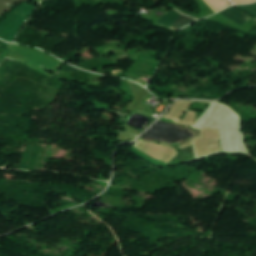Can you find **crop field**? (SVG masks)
<instances>
[{"label": "crop field", "instance_id": "1", "mask_svg": "<svg viewBox=\"0 0 256 256\" xmlns=\"http://www.w3.org/2000/svg\"><path fill=\"white\" fill-rule=\"evenodd\" d=\"M35 11V7L23 5L16 8L0 26V38L13 42L24 21Z\"/></svg>", "mask_w": 256, "mask_h": 256}, {"label": "crop field", "instance_id": "2", "mask_svg": "<svg viewBox=\"0 0 256 256\" xmlns=\"http://www.w3.org/2000/svg\"><path fill=\"white\" fill-rule=\"evenodd\" d=\"M222 15H224L225 17H227L228 19L234 21L235 23L239 24V25H243L244 23H246L248 20L251 19V17L243 14L242 12L230 7L228 9H225L221 12Z\"/></svg>", "mask_w": 256, "mask_h": 256}, {"label": "crop field", "instance_id": "3", "mask_svg": "<svg viewBox=\"0 0 256 256\" xmlns=\"http://www.w3.org/2000/svg\"><path fill=\"white\" fill-rule=\"evenodd\" d=\"M179 13L177 11H170L167 14H165L159 21L158 24L166 26L168 28L171 27V25L176 21V19L179 17Z\"/></svg>", "mask_w": 256, "mask_h": 256}, {"label": "crop field", "instance_id": "4", "mask_svg": "<svg viewBox=\"0 0 256 256\" xmlns=\"http://www.w3.org/2000/svg\"><path fill=\"white\" fill-rule=\"evenodd\" d=\"M194 21H196V19L181 15L178 18V20L174 23V25L171 27V30L177 31V30L187 26L188 24H190Z\"/></svg>", "mask_w": 256, "mask_h": 256}, {"label": "crop field", "instance_id": "5", "mask_svg": "<svg viewBox=\"0 0 256 256\" xmlns=\"http://www.w3.org/2000/svg\"><path fill=\"white\" fill-rule=\"evenodd\" d=\"M237 7L256 17V3L251 5H240Z\"/></svg>", "mask_w": 256, "mask_h": 256}, {"label": "crop field", "instance_id": "6", "mask_svg": "<svg viewBox=\"0 0 256 256\" xmlns=\"http://www.w3.org/2000/svg\"><path fill=\"white\" fill-rule=\"evenodd\" d=\"M236 4H244V3H250V2H254L256 0H231Z\"/></svg>", "mask_w": 256, "mask_h": 256}, {"label": "crop field", "instance_id": "7", "mask_svg": "<svg viewBox=\"0 0 256 256\" xmlns=\"http://www.w3.org/2000/svg\"><path fill=\"white\" fill-rule=\"evenodd\" d=\"M37 1H39V2H40V1H42V0H37Z\"/></svg>", "mask_w": 256, "mask_h": 256}]
</instances>
